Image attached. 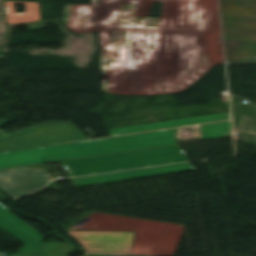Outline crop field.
<instances>
[{"label": "crop field", "instance_id": "crop-field-1", "mask_svg": "<svg viewBox=\"0 0 256 256\" xmlns=\"http://www.w3.org/2000/svg\"><path fill=\"white\" fill-rule=\"evenodd\" d=\"M179 129L0 154V169L173 145Z\"/></svg>", "mask_w": 256, "mask_h": 256}, {"label": "crop field", "instance_id": "crop-field-2", "mask_svg": "<svg viewBox=\"0 0 256 256\" xmlns=\"http://www.w3.org/2000/svg\"><path fill=\"white\" fill-rule=\"evenodd\" d=\"M180 147V146H179ZM178 145L63 162L70 177L186 162Z\"/></svg>", "mask_w": 256, "mask_h": 256}, {"label": "crop field", "instance_id": "crop-field-3", "mask_svg": "<svg viewBox=\"0 0 256 256\" xmlns=\"http://www.w3.org/2000/svg\"><path fill=\"white\" fill-rule=\"evenodd\" d=\"M8 121L0 119V126ZM87 139L70 122H46L11 134L0 131V152Z\"/></svg>", "mask_w": 256, "mask_h": 256}, {"label": "crop field", "instance_id": "crop-field-4", "mask_svg": "<svg viewBox=\"0 0 256 256\" xmlns=\"http://www.w3.org/2000/svg\"><path fill=\"white\" fill-rule=\"evenodd\" d=\"M52 180L43 171H29L24 167L0 170V188L13 197L32 194Z\"/></svg>", "mask_w": 256, "mask_h": 256}, {"label": "crop field", "instance_id": "crop-field-5", "mask_svg": "<svg viewBox=\"0 0 256 256\" xmlns=\"http://www.w3.org/2000/svg\"><path fill=\"white\" fill-rule=\"evenodd\" d=\"M0 227L24 242L18 252L39 253L44 235L19 220L0 204Z\"/></svg>", "mask_w": 256, "mask_h": 256}, {"label": "crop field", "instance_id": "crop-field-6", "mask_svg": "<svg viewBox=\"0 0 256 256\" xmlns=\"http://www.w3.org/2000/svg\"><path fill=\"white\" fill-rule=\"evenodd\" d=\"M192 170H195V169L192 166H190L188 163H186V164H180V165H174V166H168V167H160V168H152V169H144V170H136V171H128V172L103 174V175H97V176H91V177L75 178V179H72V181L75 186H83V185L99 184V183H106V182L119 181V180L158 176V175L192 171Z\"/></svg>", "mask_w": 256, "mask_h": 256}, {"label": "crop field", "instance_id": "crop-field-7", "mask_svg": "<svg viewBox=\"0 0 256 256\" xmlns=\"http://www.w3.org/2000/svg\"><path fill=\"white\" fill-rule=\"evenodd\" d=\"M228 118H230L229 113H226V114L197 117V118H190V119H183V120H176V121H169V122H161V123H154V124H147V125L117 128V129H111L108 131L111 136H114V135L170 128V127L184 126V125H190V124L211 122V121H217V120H224V119H228Z\"/></svg>", "mask_w": 256, "mask_h": 256}, {"label": "crop field", "instance_id": "crop-field-8", "mask_svg": "<svg viewBox=\"0 0 256 256\" xmlns=\"http://www.w3.org/2000/svg\"><path fill=\"white\" fill-rule=\"evenodd\" d=\"M9 24L40 20L37 3L4 2ZM13 4L26 5V13L15 14Z\"/></svg>", "mask_w": 256, "mask_h": 256}, {"label": "crop field", "instance_id": "crop-field-9", "mask_svg": "<svg viewBox=\"0 0 256 256\" xmlns=\"http://www.w3.org/2000/svg\"><path fill=\"white\" fill-rule=\"evenodd\" d=\"M199 128L201 134V141L232 136L229 122L212 125H203L199 126Z\"/></svg>", "mask_w": 256, "mask_h": 256}, {"label": "crop field", "instance_id": "crop-field-10", "mask_svg": "<svg viewBox=\"0 0 256 256\" xmlns=\"http://www.w3.org/2000/svg\"><path fill=\"white\" fill-rule=\"evenodd\" d=\"M200 140L198 126L183 128L177 135V144Z\"/></svg>", "mask_w": 256, "mask_h": 256}, {"label": "crop field", "instance_id": "crop-field-11", "mask_svg": "<svg viewBox=\"0 0 256 256\" xmlns=\"http://www.w3.org/2000/svg\"><path fill=\"white\" fill-rule=\"evenodd\" d=\"M70 249L64 243H43L40 253L64 254Z\"/></svg>", "mask_w": 256, "mask_h": 256}, {"label": "crop field", "instance_id": "crop-field-12", "mask_svg": "<svg viewBox=\"0 0 256 256\" xmlns=\"http://www.w3.org/2000/svg\"><path fill=\"white\" fill-rule=\"evenodd\" d=\"M8 28V23L6 21V17H0V40H4L6 36L7 30H4V28Z\"/></svg>", "mask_w": 256, "mask_h": 256}, {"label": "crop field", "instance_id": "crop-field-13", "mask_svg": "<svg viewBox=\"0 0 256 256\" xmlns=\"http://www.w3.org/2000/svg\"><path fill=\"white\" fill-rule=\"evenodd\" d=\"M12 256H60V255L16 253V254H14Z\"/></svg>", "mask_w": 256, "mask_h": 256}, {"label": "crop field", "instance_id": "crop-field-14", "mask_svg": "<svg viewBox=\"0 0 256 256\" xmlns=\"http://www.w3.org/2000/svg\"><path fill=\"white\" fill-rule=\"evenodd\" d=\"M0 15H6L3 0H0Z\"/></svg>", "mask_w": 256, "mask_h": 256}, {"label": "crop field", "instance_id": "crop-field-15", "mask_svg": "<svg viewBox=\"0 0 256 256\" xmlns=\"http://www.w3.org/2000/svg\"><path fill=\"white\" fill-rule=\"evenodd\" d=\"M113 255H125V254H113Z\"/></svg>", "mask_w": 256, "mask_h": 256}, {"label": "crop field", "instance_id": "crop-field-16", "mask_svg": "<svg viewBox=\"0 0 256 256\" xmlns=\"http://www.w3.org/2000/svg\"><path fill=\"white\" fill-rule=\"evenodd\" d=\"M0 60H3L2 56L0 55Z\"/></svg>", "mask_w": 256, "mask_h": 256}]
</instances>
